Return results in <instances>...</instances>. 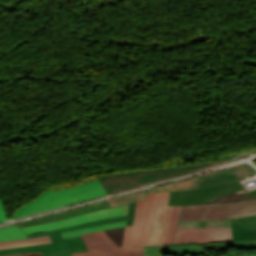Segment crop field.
<instances>
[{
	"instance_id": "6",
	"label": "crop field",
	"mask_w": 256,
	"mask_h": 256,
	"mask_svg": "<svg viewBox=\"0 0 256 256\" xmlns=\"http://www.w3.org/2000/svg\"><path fill=\"white\" fill-rule=\"evenodd\" d=\"M254 214L256 200L216 206H183L180 220H215Z\"/></svg>"
},
{
	"instance_id": "17",
	"label": "crop field",
	"mask_w": 256,
	"mask_h": 256,
	"mask_svg": "<svg viewBox=\"0 0 256 256\" xmlns=\"http://www.w3.org/2000/svg\"><path fill=\"white\" fill-rule=\"evenodd\" d=\"M233 226V237L234 241H251L256 240V232L251 231L245 227H242L234 222H232Z\"/></svg>"
},
{
	"instance_id": "13",
	"label": "crop field",
	"mask_w": 256,
	"mask_h": 256,
	"mask_svg": "<svg viewBox=\"0 0 256 256\" xmlns=\"http://www.w3.org/2000/svg\"><path fill=\"white\" fill-rule=\"evenodd\" d=\"M231 227L230 219L216 221H180L178 228H221Z\"/></svg>"
},
{
	"instance_id": "1",
	"label": "crop field",
	"mask_w": 256,
	"mask_h": 256,
	"mask_svg": "<svg viewBox=\"0 0 256 256\" xmlns=\"http://www.w3.org/2000/svg\"><path fill=\"white\" fill-rule=\"evenodd\" d=\"M169 192L158 193L157 209L147 245L232 241L231 228L177 229L182 206H167Z\"/></svg>"
},
{
	"instance_id": "9",
	"label": "crop field",
	"mask_w": 256,
	"mask_h": 256,
	"mask_svg": "<svg viewBox=\"0 0 256 256\" xmlns=\"http://www.w3.org/2000/svg\"><path fill=\"white\" fill-rule=\"evenodd\" d=\"M157 193L148 194L147 201L137 202L130 245H146L155 209Z\"/></svg>"
},
{
	"instance_id": "18",
	"label": "crop field",
	"mask_w": 256,
	"mask_h": 256,
	"mask_svg": "<svg viewBox=\"0 0 256 256\" xmlns=\"http://www.w3.org/2000/svg\"><path fill=\"white\" fill-rule=\"evenodd\" d=\"M23 238L25 234L16 225L0 229V241Z\"/></svg>"
},
{
	"instance_id": "19",
	"label": "crop field",
	"mask_w": 256,
	"mask_h": 256,
	"mask_svg": "<svg viewBox=\"0 0 256 256\" xmlns=\"http://www.w3.org/2000/svg\"><path fill=\"white\" fill-rule=\"evenodd\" d=\"M146 197H147V190L141 191V192H138L135 194L127 195L124 197L112 199L109 201H110L111 206H115V205H120V204H124V203H131L134 201H143V200H146Z\"/></svg>"
},
{
	"instance_id": "15",
	"label": "crop field",
	"mask_w": 256,
	"mask_h": 256,
	"mask_svg": "<svg viewBox=\"0 0 256 256\" xmlns=\"http://www.w3.org/2000/svg\"><path fill=\"white\" fill-rule=\"evenodd\" d=\"M249 200H255V199L248 197L244 194H242V195L233 194V195L218 197L213 201L198 203V204H194V205H215V204L243 202V201H249Z\"/></svg>"
},
{
	"instance_id": "31",
	"label": "crop field",
	"mask_w": 256,
	"mask_h": 256,
	"mask_svg": "<svg viewBox=\"0 0 256 256\" xmlns=\"http://www.w3.org/2000/svg\"><path fill=\"white\" fill-rule=\"evenodd\" d=\"M239 256H256V254H254V255H239Z\"/></svg>"
},
{
	"instance_id": "3",
	"label": "crop field",
	"mask_w": 256,
	"mask_h": 256,
	"mask_svg": "<svg viewBox=\"0 0 256 256\" xmlns=\"http://www.w3.org/2000/svg\"><path fill=\"white\" fill-rule=\"evenodd\" d=\"M106 195L98 178L80 185L43 192L33 202L17 209L13 219Z\"/></svg>"
},
{
	"instance_id": "8",
	"label": "crop field",
	"mask_w": 256,
	"mask_h": 256,
	"mask_svg": "<svg viewBox=\"0 0 256 256\" xmlns=\"http://www.w3.org/2000/svg\"><path fill=\"white\" fill-rule=\"evenodd\" d=\"M241 189L245 190L236 180L230 183L197 190L172 191L170 192L168 205H189L208 201L215 199L217 196L232 194ZM246 195L256 198V190L249 191Z\"/></svg>"
},
{
	"instance_id": "21",
	"label": "crop field",
	"mask_w": 256,
	"mask_h": 256,
	"mask_svg": "<svg viewBox=\"0 0 256 256\" xmlns=\"http://www.w3.org/2000/svg\"><path fill=\"white\" fill-rule=\"evenodd\" d=\"M232 221L256 231V215L248 217L233 218Z\"/></svg>"
},
{
	"instance_id": "11",
	"label": "crop field",
	"mask_w": 256,
	"mask_h": 256,
	"mask_svg": "<svg viewBox=\"0 0 256 256\" xmlns=\"http://www.w3.org/2000/svg\"><path fill=\"white\" fill-rule=\"evenodd\" d=\"M126 205H128V204H126ZM121 206H125V205H121ZM116 207H119V206H116ZM106 208H109L108 201L98 202V203H94L91 205L79 207V208H76V209H73L70 211L56 213V214L48 215V216L38 218L35 220L26 221V222L16 224V225L18 227H24V226H29V225L41 224V223H46V222L63 219V218H67V217H72V216L84 214V213H87L90 211L106 209Z\"/></svg>"
},
{
	"instance_id": "5",
	"label": "crop field",
	"mask_w": 256,
	"mask_h": 256,
	"mask_svg": "<svg viewBox=\"0 0 256 256\" xmlns=\"http://www.w3.org/2000/svg\"><path fill=\"white\" fill-rule=\"evenodd\" d=\"M132 226L126 227L123 248H117L103 232L81 235L89 252L75 253L72 256H143L142 247H129Z\"/></svg>"
},
{
	"instance_id": "30",
	"label": "crop field",
	"mask_w": 256,
	"mask_h": 256,
	"mask_svg": "<svg viewBox=\"0 0 256 256\" xmlns=\"http://www.w3.org/2000/svg\"><path fill=\"white\" fill-rule=\"evenodd\" d=\"M253 152H256V150H253V151H247V152H243V153H253ZM242 153V154H243Z\"/></svg>"
},
{
	"instance_id": "29",
	"label": "crop field",
	"mask_w": 256,
	"mask_h": 256,
	"mask_svg": "<svg viewBox=\"0 0 256 256\" xmlns=\"http://www.w3.org/2000/svg\"><path fill=\"white\" fill-rule=\"evenodd\" d=\"M244 156H246V155L239 156V157H237L236 159H234V160H232V161H230V162H228V163L235 162V161H237V160H239V159L243 158Z\"/></svg>"
},
{
	"instance_id": "16",
	"label": "crop field",
	"mask_w": 256,
	"mask_h": 256,
	"mask_svg": "<svg viewBox=\"0 0 256 256\" xmlns=\"http://www.w3.org/2000/svg\"><path fill=\"white\" fill-rule=\"evenodd\" d=\"M125 223H126V221L117 222V223H111V224L102 225V226H97V227L88 228V229H82V230L64 232V233H61V234H62L63 238L66 239V238L78 236V235L83 234V233H89V232H94V231H100V230L110 229V228L123 227V226H125Z\"/></svg>"
},
{
	"instance_id": "23",
	"label": "crop field",
	"mask_w": 256,
	"mask_h": 256,
	"mask_svg": "<svg viewBox=\"0 0 256 256\" xmlns=\"http://www.w3.org/2000/svg\"><path fill=\"white\" fill-rule=\"evenodd\" d=\"M84 251H88L87 248L61 251V252H53V253H45V254H43V256H71L70 253L84 252Z\"/></svg>"
},
{
	"instance_id": "25",
	"label": "crop field",
	"mask_w": 256,
	"mask_h": 256,
	"mask_svg": "<svg viewBox=\"0 0 256 256\" xmlns=\"http://www.w3.org/2000/svg\"><path fill=\"white\" fill-rule=\"evenodd\" d=\"M135 206H136V202L130 204V211H129L128 224H127V226L132 225V223H133L134 212H135Z\"/></svg>"
},
{
	"instance_id": "7",
	"label": "crop field",
	"mask_w": 256,
	"mask_h": 256,
	"mask_svg": "<svg viewBox=\"0 0 256 256\" xmlns=\"http://www.w3.org/2000/svg\"><path fill=\"white\" fill-rule=\"evenodd\" d=\"M255 171L256 170L249 164H241L240 166L228 168L226 170L219 172L210 173L205 176L196 177L193 179L153 188L149 190V193L172 190L197 189L202 187L213 186L239 179L241 177L252 174Z\"/></svg>"
},
{
	"instance_id": "32",
	"label": "crop field",
	"mask_w": 256,
	"mask_h": 256,
	"mask_svg": "<svg viewBox=\"0 0 256 256\" xmlns=\"http://www.w3.org/2000/svg\"><path fill=\"white\" fill-rule=\"evenodd\" d=\"M256 164V162H254Z\"/></svg>"
},
{
	"instance_id": "2",
	"label": "crop field",
	"mask_w": 256,
	"mask_h": 256,
	"mask_svg": "<svg viewBox=\"0 0 256 256\" xmlns=\"http://www.w3.org/2000/svg\"><path fill=\"white\" fill-rule=\"evenodd\" d=\"M241 153H234L222 156L220 161L193 164L177 167H169L163 169L141 170L128 173H119L111 175L98 176L107 194L118 192L121 190L171 179L180 175L197 172L203 169L211 168L232 160Z\"/></svg>"
},
{
	"instance_id": "4",
	"label": "crop field",
	"mask_w": 256,
	"mask_h": 256,
	"mask_svg": "<svg viewBox=\"0 0 256 256\" xmlns=\"http://www.w3.org/2000/svg\"><path fill=\"white\" fill-rule=\"evenodd\" d=\"M126 219H127V215L117 216V217H112V218H107L102 220L91 221V222H87V223H83V224H79V225H75V226H71L63 229L52 230V231L38 233V234H30V235H27L28 238L50 235V238L53 243L3 249V250H0V255L29 253V252H37V251H41L42 253H45V252H53V251H60V250L83 248L86 246L81 236L63 240L60 232L88 228V227L107 224L111 222L123 221Z\"/></svg>"
},
{
	"instance_id": "12",
	"label": "crop field",
	"mask_w": 256,
	"mask_h": 256,
	"mask_svg": "<svg viewBox=\"0 0 256 256\" xmlns=\"http://www.w3.org/2000/svg\"><path fill=\"white\" fill-rule=\"evenodd\" d=\"M233 243L204 244V245H172L165 246L164 254L201 253L207 246L232 245Z\"/></svg>"
},
{
	"instance_id": "28",
	"label": "crop field",
	"mask_w": 256,
	"mask_h": 256,
	"mask_svg": "<svg viewBox=\"0 0 256 256\" xmlns=\"http://www.w3.org/2000/svg\"><path fill=\"white\" fill-rule=\"evenodd\" d=\"M39 254L41 253L37 252V253L19 254V255H6V256H30V255H39Z\"/></svg>"
},
{
	"instance_id": "20",
	"label": "crop field",
	"mask_w": 256,
	"mask_h": 256,
	"mask_svg": "<svg viewBox=\"0 0 256 256\" xmlns=\"http://www.w3.org/2000/svg\"><path fill=\"white\" fill-rule=\"evenodd\" d=\"M125 227L105 230L104 232L114 241L117 247H122Z\"/></svg>"
},
{
	"instance_id": "22",
	"label": "crop field",
	"mask_w": 256,
	"mask_h": 256,
	"mask_svg": "<svg viewBox=\"0 0 256 256\" xmlns=\"http://www.w3.org/2000/svg\"><path fill=\"white\" fill-rule=\"evenodd\" d=\"M144 256H162L163 246L143 247Z\"/></svg>"
},
{
	"instance_id": "14",
	"label": "crop field",
	"mask_w": 256,
	"mask_h": 256,
	"mask_svg": "<svg viewBox=\"0 0 256 256\" xmlns=\"http://www.w3.org/2000/svg\"><path fill=\"white\" fill-rule=\"evenodd\" d=\"M49 242H51L49 236L37 237V238H32V239L4 241V242H0V249L16 247V246H23V245H30V244H43V243H49Z\"/></svg>"
},
{
	"instance_id": "24",
	"label": "crop field",
	"mask_w": 256,
	"mask_h": 256,
	"mask_svg": "<svg viewBox=\"0 0 256 256\" xmlns=\"http://www.w3.org/2000/svg\"><path fill=\"white\" fill-rule=\"evenodd\" d=\"M235 249L256 248V242L234 243Z\"/></svg>"
},
{
	"instance_id": "27",
	"label": "crop field",
	"mask_w": 256,
	"mask_h": 256,
	"mask_svg": "<svg viewBox=\"0 0 256 256\" xmlns=\"http://www.w3.org/2000/svg\"><path fill=\"white\" fill-rule=\"evenodd\" d=\"M243 64L256 66V61L243 59Z\"/></svg>"
},
{
	"instance_id": "10",
	"label": "crop field",
	"mask_w": 256,
	"mask_h": 256,
	"mask_svg": "<svg viewBox=\"0 0 256 256\" xmlns=\"http://www.w3.org/2000/svg\"><path fill=\"white\" fill-rule=\"evenodd\" d=\"M127 211H128V206L106 209V210H99V211L90 212V213L72 217V218H67V219H63V220H59V221H55V222H51V223H47V224L24 227V228H20V229L25 234L38 233V232L62 228V227L90 221V220H96V219L117 216V215H123V214H127Z\"/></svg>"
},
{
	"instance_id": "26",
	"label": "crop field",
	"mask_w": 256,
	"mask_h": 256,
	"mask_svg": "<svg viewBox=\"0 0 256 256\" xmlns=\"http://www.w3.org/2000/svg\"><path fill=\"white\" fill-rule=\"evenodd\" d=\"M7 220L2 201H0V222Z\"/></svg>"
}]
</instances>
